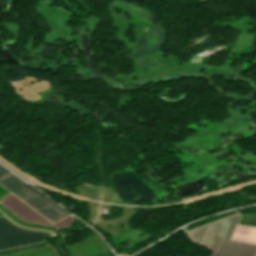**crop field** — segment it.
<instances>
[{
    "label": "crop field",
    "mask_w": 256,
    "mask_h": 256,
    "mask_svg": "<svg viewBox=\"0 0 256 256\" xmlns=\"http://www.w3.org/2000/svg\"><path fill=\"white\" fill-rule=\"evenodd\" d=\"M238 212L190 229V239L210 248L212 256H256V245L230 240Z\"/></svg>",
    "instance_id": "obj_1"
},
{
    "label": "crop field",
    "mask_w": 256,
    "mask_h": 256,
    "mask_svg": "<svg viewBox=\"0 0 256 256\" xmlns=\"http://www.w3.org/2000/svg\"><path fill=\"white\" fill-rule=\"evenodd\" d=\"M49 236L51 235L48 233L19 228L4 217H0V250L37 243Z\"/></svg>",
    "instance_id": "obj_3"
},
{
    "label": "crop field",
    "mask_w": 256,
    "mask_h": 256,
    "mask_svg": "<svg viewBox=\"0 0 256 256\" xmlns=\"http://www.w3.org/2000/svg\"><path fill=\"white\" fill-rule=\"evenodd\" d=\"M18 181L21 180L0 165V184L33 207L51 222L54 223L70 215L28 183L25 182L21 185Z\"/></svg>",
    "instance_id": "obj_2"
},
{
    "label": "crop field",
    "mask_w": 256,
    "mask_h": 256,
    "mask_svg": "<svg viewBox=\"0 0 256 256\" xmlns=\"http://www.w3.org/2000/svg\"><path fill=\"white\" fill-rule=\"evenodd\" d=\"M231 239L256 244V227L237 225Z\"/></svg>",
    "instance_id": "obj_4"
}]
</instances>
